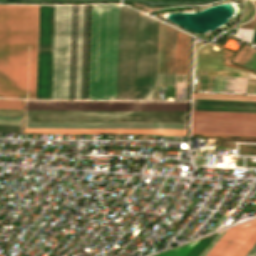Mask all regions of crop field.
<instances>
[{
	"label": "crop field",
	"instance_id": "crop-field-13",
	"mask_svg": "<svg viewBox=\"0 0 256 256\" xmlns=\"http://www.w3.org/2000/svg\"><path fill=\"white\" fill-rule=\"evenodd\" d=\"M192 110L256 113V102L192 99Z\"/></svg>",
	"mask_w": 256,
	"mask_h": 256
},
{
	"label": "crop field",
	"instance_id": "crop-field-3",
	"mask_svg": "<svg viewBox=\"0 0 256 256\" xmlns=\"http://www.w3.org/2000/svg\"><path fill=\"white\" fill-rule=\"evenodd\" d=\"M119 6L91 5L88 99H115Z\"/></svg>",
	"mask_w": 256,
	"mask_h": 256
},
{
	"label": "crop field",
	"instance_id": "crop-field-16",
	"mask_svg": "<svg viewBox=\"0 0 256 256\" xmlns=\"http://www.w3.org/2000/svg\"><path fill=\"white\" fill-rule=\"evenodd\" d=\"M217 234L200 239L196 245L186 254V256H198Z\"/></svg>",
	"mask_w": 256,
	"mask_h": 256
},
{
	"label": "crop field",
	"instance_id": "crop-field-7",
	"mask_svg": "<svg viewBox=\"0 0 256 256\" xmlns=\"http://www.w3.org/2000/svg\"><path fill=\"white\" fill-rule=\"evenodd\" d=\"M188 102L25 101V110L187 111Z\"/></svg>",
	"mask_w": 256,
	"mask_h": 256
},
{
	"label": "crop field",
	"instance_id": "crop-field-15",
	"mask_svg": "<svg viewBox=\"0 0 256 256\" xmlns=\"http://www.w3.org/2000/svg\"><path fill=\"white\" fill-rule=\"evenodd\" d=\"M193 241L187 244H184L182 246H179L177 248L169 249L163 253L154 255V256H184L192 247L193 245L197 242Z\"/></svg>",
	"mask_w": 256,
	"mask_h": 256
},
{
	"label": "crop field",
	"instance_id": "crop-field-25",
	"mask_svg": "<svg viewBox=\"0 0 256 256\" xmlns=\"http://www.w3.org/2000/svg\"><path fill=\"white\" fill-rule=\"evenodd\" d=\"M252 43L256 45V30H255V34H254V38H253V42Z\"/></svg>",
	"mask_w": 256,
	"mask_h": 256
},
{
	"label": "crop field",
	"instance_id": "crop-field-8",
	"mask_svg": "<svg viewBox=\"0 0 256 256\" xmlns=\"http://www.w3.org/2000/svg\"><path fill=\"white\" fill-rule=\"evenodd\" d=\"M191 133L256 136V114L192 111Z\"/></svg>",
	"mask_w": 256,
	"mask_h": 256
},
{
	"label": "crop field",
	"instance_id": "crop-field-17",
	"mask_svg": "<svg viewBox=\"0 0 256 256\" xmlns=\"http://www.w3.org/2000/svg\"><path fill=\"white\" fill-rule=\"evenodd\" d=\"M255 243L256 231L250 236V238L244 243V245L238 250V252L234 256H245Z\"/></svg>",
	"mask_w": 256,
	"mask_h": 256
},
{
	"label": "crop field",
	"instance_id": "crop-field-19",
	"mask_svg": "<svg viewBox=\"0 0 256 256\" xmlns=\"http://www.w3.org/2000/svg\"><path fill=\"white\" fill-rule=\"evenodd\" d=\"M0 124L22 125V118L0 117Z\"/></svg>",
	"mask_w": 256,
	"mask_h": 256
},
{
	"label": "crop field",
	"instance_id": "crop-field-1",
	"mask_svg": "<svg viewBox=\"0 0 256 256\" xmlns=\"http://www.w3.org/2000/svg\"><path fill=\"white\" fill-rule=\"evenodd\" d=\"M38 5H0V98L35 99Z\"/></svg>",
	"mask_w": 256,
	"mask_h": 256
},
{
	"label": "crop field",
	"instance_id": "crop-field-6",
	"mask_svg": "<svg viewBox=\"0 0 256 256\" xmlns=\"http://www.w3.org/2000/svg\"><path fill=\"white\" fill-rule=\"evenodd\" d=\"M137 11L120 6L116 99H134Z\"/></svg>",
	"mask_w": 256,
	"mask_h": 256
},
{
	"label": "crop field",
	"instance_id": "crop-field-9",
	"mask_svg": "<svg viewBox=\"0 0 256 256\" xmlns=\"http://www.w3.org/2000/svg\"><path fill=\"white\" fill-rule=\"evenodd\" d=\"M54 5H39L36 99H50Z\"/></svg>",
	"mask_w": 256,
	"mask_h": 256
},
{
	"label": "crop field",
	"instance_id": "crop-field-24",
	"mask_svg": "<svg viewBox=\"0 0 256 256\" xmlns=\"http://www.w3.org/2000/svg\"><path fill=\"white\" fill-rule=\"evenodd\" d=\"M246 256H256V244Z\"/></svg>",
	"mask_w": 256,
	"mask_h": 256
},
{
	"label": "crop field",
	"instance_id": "crop-field-11",
	"mask_svg": "<svg viewBox=\"0 0 256 256\" xmlns=\"http://www.w3.org/2000/svg\"><path fill=\"white\" fill-rule=\"evenodd\" d=\"M187 124L25 123V128L186 129Z\"/></svg>",
	"mask_w": 256,
	"mask_h": 256
},
{
	"label": "crop field",
	"instance_id": "crop-field-2",
	"mask_svg": "<svg viewBox=\"0 0 256 256\" xmlns=\"http://www.w3.org/2000/svg\"><path fill=\"white\" fill-rule=\"evenodd\" d=\"M88 5H55L51 99H85Z\"/></svg>",
	"mask_w": 256,
	"mask_h": 256
},
{
	"label": "crop field",
	"instance_id": "crop-field-18",
	"mask_svg": "<svg viewBox=\"0 0 256 256\" xmlns=\"http://www.w3.org/2000/svg\"><path fill=\"white\" fill-rule=\"evenodd\" d=\"M23 101L0 100V109L22 110Z\"/></svg>",
	"mask_w": 256,
	"mask_h": 256
},
{
	"label": "crop field",
	"instance_id": "crop-field-22",
	"mask_svg": "<svg viewBox=\"0 0 256 256\" xmlns=\"http://www.w3.org/2000/svg\"><path fill=\"white\" fill-rule=\"evenodd\" d=\"M0 116L22 117V111L0 110Z\"/></svg>",
	"mask_w": 256,
	"mask_h": 256
},
{
	"label": "crop field",
	"instance_id": "crop-field-23",
	"mask_svg": "<svg viewBox=\"0 0 256 256\" xmlns=\"http://www.w3.org/2000/svg\"><path fill=\"white\" fill-rule=\"evenodd\" d=\"M225 217H226V215L223 214L222 217L218 219V222L214 223V224L211 226V228H210L206 233H208V232L214 230V229L222 222V220H223Z\"/></svg>",
	"mask_w": 256,
	"mask_h": 256
},
{
	"label": "crop field",
	"instance_id": "crop-field-14",
	"mask_svg": "<svg viewBox=\"0 0 256 256\" xmlns=\"http://www.w3.org/2000/svg\"><path fill=\"white\" fill-rule=\"evenodd\" d=\"M192 98L256 101V96L193 93Z\"/></svg>",
	"mask_w": 256,
	"mask_h": 256
},
{
	"label": "crop field",
	"instance_id": "crop-field-5",
	"mask_svg": "<svg viewBox=\"0 0 256 256\" xmlns=\"http://www.w3.org/2000/svg\"><path fill=\"white\" fill-rule=\"evenodd\" d=\"M158 21L138 12L135 99L155 100Z\"/></svg>",
	"mask_w": 256,
	"mask_h": 256
},
{
	"label": "crop field",
	"instance_id": "crop-field-10",
	"mask_svg": "<svg viewBox=\"0 0 256 256\" xmlns=\"http://www.w3.org/2000/svg\"><path fill=\"white\" fill-rule=\"evenodd\" d=\"M256 229V220L229 228L206 256H233Z\"/></svg>",
	"mask_w": 256,
	"mask_h": 256
},
{
	"label": "crop field",
	"instance_id": "crop-field-21",
	"mask_svg": "<svg viewBox=\"0 0 256 256\" xmlns=\"http://www.w3.org/2000/svg\"><path fill=\"white\" fill-rule=\"evenodd\" d=\"M225 231L226 230L220 232L199 256H205L213 248V246L217 243V241L220 239V237L224 234Z\"/></svg>",
	"mask_w": 256,
	"mask_h": 256
},
{
	"label": "crop field",
	"instance_id": "crop-field-4",
	"mask_svg": "<svg viewBox=\"0 0 256 256\" xmlns=\"http://www.w3.org/2000/svg\"><path fill=\"white\" fill-rule=\"evenodd\" d=\"M25 122L187 123V112L25 111Z\"/></svg>",
	"mask_w": 256,
	"mask_h": 256
},
{
	"label": "crop field",
	"instance_id": "crop-field-20",
	"mask_svg": "<svg viewBox=\"0 0 256 256\" xmlns=\"http://www.w3.org/2000/svg\"><path fill=\"white\" fill-rule=\"evenodd\" d=\"M22 126L0 125V132L21 133Z\"/></svg>",
	"mask_w": 256,
	"mask_h": 256
},
{
	"label": "crop field",
	"instance_id": "crop-field-12",
	"mask_svg": "<svg viewBox=\"0 0 256 256\" xmlns=\"http://www.w3.org/2000/svg\"><path fill=\"white\" fill-rule=\"evenodd\" d=\"M24 133L53 134H156L186 136V130L24 129Z\"/></svg>",
	"mask_w": 256,
	"mask_h": 256
}]
</instances>
